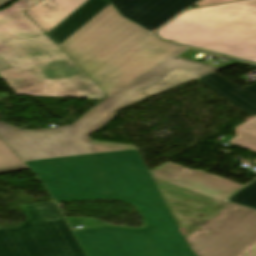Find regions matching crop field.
<instances>
[{"label": "crop field", "mask_w": 256, "mask_h": 256, "mask_svg": "<svg viewBox=\"0 0 256 256\" xmlns=\"http://www.w3.org/2000/svg\"><path fill=\"white\" fill-rule=\"evenodd\" d=\"M57 202L110 199L134 205L141 228L66 218L89 256H196L137 150L26 162Z\"/></svg>", "instance_id": "crop-field-1"}, {"label": "crop field", "mask_w": 256, "mask_h": 256, "mask_svg": "<svg viewBox=\"0 0 256 256\" xmlns=\"http://www.w3.org/2000/svg\"><path fill=\"white\" fill-rule=\"evenodd\" d=\"M114 8L58 46L105 94L115 88L139 102L220 69L177 58L187 48L158 41Z\"/></svg>", "instance_id": "crop-field-2"}, {"label": "crop field", "mask_w": 256, "mask_h": 256, "mask_svg": "<svg viewBox=\"0 0 256 256\" xmlns=\"http://www.w3.org/2000/svg\"><path fill=\"white\" fill-rule=\"evenodd\" d=\"M150 173L197 256H244L256 246V208L225 200L243 185L169 162Z\"/></svg>", "instance_id": "crop-field-3"}, {"label": "crop field", "mask_w": 256, "mask_h": 256, "mask_svg": "<svg viewBox=\"0 0 256 256\" xmlns=\"http://www.w3.org/2000/svg\"><path fill=\"white\" fill-rule=\"evenodd\" d=\"M42 0H16L0 11V56L14 69L0 77L16 95L102 99L105 95L24 11Z\"/></svg>", "instance_id": "crop-field-4"}, {"label": "crop field", "mask_w": 256, "mask_h": 256, "mask_svg": "<svg viewBox=\"0 0 256 256\" xmlns=\"http://www.w3.org/2000/svg\"><path fill=\"white\" fill-rule=\"evenodd\" d=\"M155 33L164 40L256 62V0L190 9Z\"/></svg>", "instance_id": "crop-field-5"}, {"label": "crop field", "mask_w": 256, "mask_h": 256, "mask_svg": "<svg viewBox=\"0 0 256 256\" xmlns=\"http://www.w3.org/2000/svg\"><path fill=\"white\" fill-rule=\"evenodd\" d=\"M107 95L72 125L20 130L0 121V135L24 161L135 149L130 145L88 140V135L112 120L118 109L136 103L115 89Z\"/></svg>", "instance_id": "crop-field-6"}, {"label": "crop field", "mask_w": 256, "mask_h": 256, "mask_svg": "<svg viewBox=\"0 0 256 256\" xmlns=\"http://www.w3.org/2000/svg\"><path fill=\"white\" fill-rule=\"evenodd\" d=\"M21 208L25 222L0 230V256H86L53 201Z\"/></svg>", "instance_id": "crop-field-7"}, {"label": "crop field", "mask_w": 256, "mask_h": 256, "mask_svg": "<svg viewBox=\"0 0 256 256\" xmlns=\"http://www.w3.org/2000/svg\"><path fill=\"white\" fill-rule=\"evenodd\" d=\"M127 18L153 31L198 0H111ZM117 9V10H118Z\"/></svg>", "instance_id": "crop-field-8"}, {"label": "crop field", "mask_w": 256, "mask_h": 256, "mask_svg": "<svg viewBox=\"0 0 256 256\" xmlns=\"http://www.w3.org/2000/svg\"><path fill=\"white\" fill-rule=\"evenodd\" d=\"M86 0H44L24 12L45 34Z\"/></svg>", "instance_id": "crop-field-9"}, {"label": "crop field", "mask_w": 256, "mask_h": 256, "mask_svg": "<svg viewBox=\"0 0 256 256\" xmlns=\"http://www.w3.org/2000/svg\"><path fill=\"white\" fill-rule=\"evenodd\" d=\"M108 3V0H88L46 35L58 46L82 27Z\"/></svg>", "instance_id": "crop-field-10"}, {"label": "crop field", "mask_w": 256, "mask_h": 256, "mask_svg": "<svg viewBox=\"0 0 256 256\" xmlns=\"http://www.w3.org/2000/svg\"><path fill=\"white\" fill-rule=\"evenodd\" d=\"M196 80L251 116H256V99L218 76L215 72ZM253 85L256 87V84Z\"/></svg>", "instance_id": "crop-field-11"}, {"label": "crop field", "mask_w": 256, "mask_h": 256, "mask_svg": "<svg viewBox=\"0 0 256 256\" xmlns=\"http://www.w3.org/2000/svg\"><path fill=\"white\" fill-rule=\"evenodd\" d=\"M235 131L229 143L256 151V117L235 127Z\"/></svg>", "instance_id": "crop-field-12"}, {"label": "crop field", "mask_w": 256, "mask_h": 256, "mask_svg": "<svg viewBox=\"0 0 256 256\" xmlns=\"http://www.w3.org/2000/svg\"><path fill=\"white\" fill-rule=\"evenodd\" d=\"M27 168L0 138V173Z\"/></svg>", "instance_id": "crop-field-13"}, {"label": "crop field", "mask_w": 256, "mask_h": 256, "mask_svg": "<svg viewBox=\"0 0 256 256\" xmlns=\"http://www.w3.org/2000/svg\"><path fill=\"white\" fill-rule=\"evenodd\" d=\"M228 200L256 207V179L231 196Z\"/></svg>", "instance_id": "crop-field-14"}, {"label": "crop field", "mask_w": 256, "mask_h": 256, "mask_svg": "<svg viewBox=\"0 0 256 256\" xmlns=\"http://www.w3.org/2000/svg\"><path fill=\"white\" fill-rule=\"evenodd\" d=\"M229 1H235V0H203L202 2L196 4V6L199 7V6H205V5L217 4V3H223V2H229Z\"/></svg>", "instance_id": "crop-field-15"}, {"label": "crop field", "mask_w": 256, "mask_h": 256, "mask_svg": "<svg viewBox=\"0 0 256 256\" xmlns=\"http://www.w3.org/2000/svg\"><path fill=\"white\" fill-rule=\"evenodd\" d=\"M242 89L256 98V88L254 86L250 85Z\"/></svg>", "instance_id": "crop-field-16"}, {"label": "crop field", "mask_w": 256, "mask_h": 256, "mask_svg": "<svg viewBox=\"0 0 256 256\" xmlns=\"http://www.w3.org/2000/svg\"><path fill=\"white\" fill-rule=\"evenodd\" d=\"M12 67L0 57V71L11 69Z\"/></svg>", "instance_id": "crop-field-17"}, {"label": "crop field", "mask_w": 256, "mask_h": 256, "mask_svg": "<svg viewBox=\"0 0 256 256\" xmlns=\"http://www.w3.org/2000/svg\"><path fill=\"white\" fill-rule=\"evenodd\" d=\"M245 256H256V247Z\"/></svg>", "instance_id": "crop-field-18"}, {"label": "crop field", "mask_w": 256, "mask_h": 256, "mask_svg": "<svg viewBox=\"0 0 256 256\" xmlns=\"http://www.w3.org/2000/svg\"><path fill=\"white\" fill-rule=\"evenodd\" d=\"M10 0H0V6L6 4L7 2H9Z\"/></svg>", "instance_id": "crop-field-19"}, {"label": "crop field", "mask_w": 256, "mask_h": 256, "mask_svg": "<svg viewBox=\"0 0 256 256\" xmlns=\"http://www.w3.org/2000/svg\"><path fill=\"white\" fill-rule=\"evenodd\" d=\"M8 96H9V95L6 94L5 92L0 93V98H2V97H8Z\"/></svg>", "instance_id": "crop-field-20"}, {"label": "crop field", "mask_w": 256, "mask_h": 256, "mask_svg": "<svg viewBox=\"0 0 256 256\" xmlns=\"http://www.w3.org/2000/svg\"><path fill=\"white\" fill-rule=\"evenodd\" d=\"M1 79V78H0Z\"/></svg>", "instance_id": "crop-field-21"}, {"label": "crop field", "mask_w": 256, "mask_h": 256, "mask_svg": "<svg viewBox=\"0 0 256 256\" xmlns=\"http://www.w3.org/2000/svg\"><path fill=\"white\" fill-rule=\"evenodd\" d=\"M256 162V161H255Z\"/></svg>", "instance_id": "crop-field-22"}]
</instances>
